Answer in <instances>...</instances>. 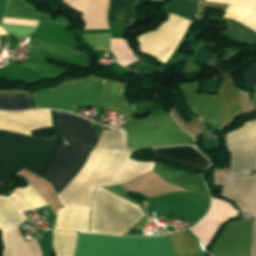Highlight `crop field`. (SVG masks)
Returning <instances> with one entry per match:
<instances>
[{"instance_id": "8a807250", "label": "crop field", "mask_w": 256, "mask_h": 256, "mask_svg": "<svg viewBox=\"0 0 256 256\" xmlns=\"http://www.w3.org/2000/svg\"><path fill=\"white\" fill-rule=\"evenodd\" d=\"M122 130L104 131L81 172L58 196L63 207L90 205L94 187L121 184L152 170L153 163L128 161Z\"/></svg>"}, {"instance_id": "ac0d7876", "label": "crop field", "mask_w": 256, "mask_h": 256, "mask_svg": "<svg viewBox=\"0 0 256 256\" xmlns=\"http://www.w3.org/2000/svg\"><path fill=\"white\" fill-rule=\"evenodd\" d=\"M55 138H39L0 130V184L21 170L43 179L62 145L57 111L51 110Z\"/></svg>"}, {"instance_id": "34b2d1b8", "label": "crop field", "mask_w": 256, "mask_h": 256, "mask_svg": "<svg viewBox=\"0 0 256 256\" xmlns=\"http://www.w3.org/2000/svg\"><path fill=\"white\" fill-rule=\"evenodd\" d=\"M65 144L60 148L44 180L50 182L57 195L77 175L87 160L90 147L98 138L88 120L58 112Z\"/></svg>"}, {"instance_id": "412701ff", "label": "crop field", "mask_w": 256, "mask_h": 256, "mask_svg": "<svg viewBox=\"0 0 256 256\" xmlns=\"http://www.w3.org/2000/svg\"><path fill=\"white\" fill-rule=\"evenodd\" d=\"M131 256H175L166 236L119 237ZM118 237L79 234L75 256H130Z\"/></svg>"}, {"instance_id": "f4fd0767", "label": "crop field", "mask_w": 256, "mask_h": 256, "mask_svg": "<svg viewBox=\"0 0 256 256\" xmlns=\"http://www.w3.org/2000/svg\"><path fill=\"white\" fill-rule=\"evenodd\" d=\"M144 216L139 206L103 188H96L90 233L123 235Z\"/></svg>"}, {"instance_id": "dd49c442", "label": "crop field", "mask_w": 256, "mask_h": 256, "mask_svg": "<svg viewBox=\"0 0 256 256\" xmlns=\"http://www.w3.org/2000/svg\"><path fill=\"white\" fill-rule=\"evenodd\" d=\"M106 79L91 75L32 93L35 108H55L73 112L76 105L102 106Z\"/></svg>"}, {"instance_id": "e52e79f7", "label": "crop field", "mask_w": 256, "mask_h": 256, "mask_svg": "<svg viewBox=\"0 0 256 256\" xmlns=\"http://www.w3.org/2000/svg\"><path fill=\"white\" fill-rule=\"evenodd\" d=\"M131 149L190 144L193 139L180 129L170 113L156 112L147 119L128 121L122 125ZM121 128V129H122Z\"/></svg>"}, {"instance_id": "d8731c3e", "label": "crop field", "mask_w": 256, "mask_h": 256, "mask_svg": "<svg viewBox=\"0 0 256 256\" xmlns=\"http://www.w3.org/2000/svg\"><path fill=\"white\" fill-rule=\"evenodd\" d=\"M226 143L232 155L230 176L251 175L256 147V120L230 132Z\"/></svg>"}, {"instance_id": "5a996713", "label": "crop field", "mask_w": 256, "mask_h": 256, "mask_svg": "<svg viewBox=\"0 0 256 256\" xmlns=\"http://www.w3.org/2000/svg\"><path fill=\"white\" fill-rule=\"evenodd\" d=\"M189 23V21L168 17L156 30L137 37L139 51L161 62Z\"/></svg>"}, {"instance_id": "3316defc", "label": "crop field", "mask_w": 256, "mask_h": 256, "mask_svg": "<svg viewBox=\"0 0 256 256\" xmlns=\"http://www.w3.org/2000/svg\"><path fill=\"white\" fill-rule=\"evenodd\" d=\"M252 218L230 222L211 256H249Z\"/></svg>"}, {"instance_id": "28ad6ade", "label": "crop field", "mask_w": 256, "mask_h": 256, "mask_svg": "<svg viewBox=\"0 0 256 256\" xmlns=\"http://www.w3.org/2000/svg\"><path fill=\"white\" fill-rule=\"evenodd\" d=\"M215 184H222L223 196L235 200L242 211L256 217V177L229 178L215 172Z\"/></svg>"}, {"instance_id": "d1516ede", "label": "crop field", "mask_w": 256, "mask_h": 256, "mask_svg": "<svg viewBox=\"0 0 256 256\" xmlns=\"http://www.w3.org/2000/svg\"><path fill=\"white\" fill-rule=\"evenodd\" d=\"M51 126L50 110L1 112L0 129L29 134L28 131Z\"/></svg>"}, {"instance_id": "22f410ed", "label": "crop field", "mask_w": 256, "mask_h": 256, "mask_svg": "<svg viewBox=\"0 0 256 256\" xmlns=\"http://www.w3.org/2000/svg\"><path fill=\"white\" fill-rule=\"evenodd\" d=\"M190 109L207 123L219 124L216 96L198 93V83L179 85Z\"/></svg>"}, {"instance_id": "cbeb9de0", "label": "crop field", "mask_w": 256, "mask_h": 256, "mask_svg": "<svg viewBox=\"0 0 256 256\" xmlns=\"http://www.w3.org/2000/svg\"><path fill=\"white\" fill-rule=\"evenodd\" d=\"M73 10L84 13L82 19L85 29H108V0H64Z\"/></svg>"}, {"instance_id": "5142ce71", "label": "crop field", "mask_w": 256, "mask_h": 256, "mask_svg": "<svg viewBox=\"0 0 256 256\" xmlns=\"http://www.w3.org/2000/svg\"><path fill=\"white\" fill-rule=\"evenodd\" d=\"M220 127L226 126L234 116L241 113L240 90L233 81L224 80L217 96Z\"/></svg>"}, {"instance_id": "d9b57169", "label": "crop field", "mask_w": 256, "mask_h": 256, "mask_svg": "<svg viewBox=\"0 0 256 256\" xmlns=\"http://www.w3.org/2000/svg\"><path fill=\"white\" fill-rule=\"evenodd\" d=\"M90 206L61 208L56 230L88 232Z\"/></svg>"}, {"instance_id": "733c2abd", "label": "crop field", "mask_w": 256, "mask_h": 256, "mask_svg": "<svg viewBox=\"0 0 256 256\" xmlns=\"http://www.w3.org/2000/svg\"><path fill=\"white\" fill-rule=\"evenodd\" d=\"M27 210L30 208L15 191L9 197L0 196V227L25 222L27 219L22 212Z\"/></svg>"}, {"instance_id": "4a817a6b", "label": "crop field", "mask_w": 256, "mask_h": 256, "mask_svg": "<svg viewBox=\"0 0 256 256\" xmlns=\"http://www.w3.org/2000/svg\"><path fill=\"white\" fill-rule=\"evenodd\" d=\"M155 154L179 163L190 164L203 170L208 164V160L196 149L189 146H178L154 149Z\"/></svg>"}, {"instance_id": "bc2a9ffb", "label": "crop field", "mask_w": 256, "mask_h": 256, "mask_svg": "<svg viewBox=\"0 0 256 256\" xmlns=\"http://www.w3.org/2000/svg\"><path fill=\"white\" fill-rule=\"evenodd\" d=\"M165 0H110L109 23L127 24L131 27L137 22L135 6L144 2H163Z\"/></svg>"}, {"instance_id": "214f88e0", "label": "crop field", "mask_w": 256, "mask_h": 256, "mask_svg": "<svg viewBox=\"0 0 256 256\" xmlns=\"http://www.w3.org/2000/svg\"><path fill=\"white\" fill-rule=\"evenodd\" d=\"M176 256H193L201 254L197 242L184 231L166 235Z\"/></svg>"}, {"instance_id": "92a150f3", "label": "crop field", "mask_w": 256, "mask_h": 256, "mask_svg": "<svg viewBox=\"0 0 256 256\" xmlns=\"http://www.w3.org/2000/svg\"><path fill=\"white\" fill-rule=\"evenodd\" d=\"M229 4L223 17L239 21L256 7V0H206Z\"/></svg>"}, {"instance_id": "dafd665d", "label": "crop field", "mask_w": 256, "mask_h": 256, "mask_svg": "<svg viewBox=\"0 0 256 256\" xmlns=\"http://www.w3.org/2000/svg\"><path fill=\"white\" fill-rule=\"evenodd\" d=\"M77 237V233L54 231L53 248L56 256H74Z\"/></svg>"}, {"instance_id": "00972430", "label": "crop field", "mask_w": 256, "mask_h": 256, "mask_svg": "<svg viewBox=\"0 0 256 256\" xmlns=\"http://www.w3.org/2000/svg\"><path fill=\"white\" fill-rule=\"evenodd\" d=\"M122 85L107 83L103 109L117 110V114L129 113L122 98Z\"/></svg>"}, {"instance_id": "a9b5d70f", "label": "crop field", "mask_w": 256, "mask_h": 256, "mask_svg": "<svg viewBox=\"0 0 256 256\" xmlns=\"http://www.w3.org/2000/svg\"><path fill=\"white\" fill-rule=\"evenodd\" d=\"M33 108L30 95L0 94V109L22 110Z\"/></svg>"}, {"instance_id": "4177f3b9", "label": "crop field", "mask_w": 256, "mask_h": 256, "mask_svg": "<svg viewBox=\"0 0 256 256\" xmlns=\"http://www.w3.org/2000/svg\"><path fill=\"white\" fill-rule=\"evenodd\" d=\"M15 190L32 209L47 205L45 200L29 184L23 188H15Z\"/></svg>"}, {"instance_id": "730fd06b", "label": "crop field", "mask_w": 256, "mask_h": 256, "mask_svg": "<svg viewBox=\"0 0 256 256\" xmlns=\"http://www.w3.org/2000/svg\"><path fill=\"white\" fill-rule=\"evenodd\" d=\"M88 42L96 49H110V34L84 35Z\"/></svg>"}, {"instance_id": "eef30255", "label": "crop field", "mask_w": 256, "mask_h": 256, "mask_svg": "<svg viewBox=\"0 0 256 256\" xmlns=\"http://www.w3.org/2000/svg\"><path fill=\"white\" fill-rule=\"evenodd\" d=\"M250 256H256V219L255 218H253V224H252V238H251Z\"/></svg>"}, {"instance_id": "ae1a2a85", "label": "crop field", "mask_w": 256, "mask_h": 256, "mask_svg": "<svg viewBox=\"0 0 256 256\" xmlns=\"http://www.w3.org/2000/svg\"><path fill=\"white\" fill-rule=\"evenodd\" d=\"M244 78L252 83L254 86H256V65H253L249 68Z\"/></svg>"}, {"instance_id": "d3111659", "label": "crop field", "mask_w": 256, "mask_h": 256, "mask_svg": "<svg viewBox=\"0 0 256 256\" xmlns=\"http://www.w3.org/2000/svg\"><path fill=\"white\" fill-rule=\"evenodd\" d=\"M0 35H7L5 30H3L1 27H0Z\"/></svg>"}, {"instance_id": "750c4746", "label": "crop field", "mask_w": 256, "mask_h": 256, "mask_svg": "<svg viewBox=\"0 0 256 256\" xmlns=\"http://www.w3.org/2000/svg\"><path fill=\"white\" fill-rule=\"evenodd\" d=\"M254 110H256V94H255V98H254Z\"/></svg>"}, {"instance_id": "bd1437ed", "label": "crop field", "mask_w": 256, "mask_h": 256, "mask_svg": "<svg viewBox=\"0 0 256 256\" xmlns=\"http://www.w3.org/2000/svg\"><path fill=\"white\" fill-rule=\"evenodd\" d=\"M253 169H256V154H255V160H254V166Z\"/></svg>"}, {"instance_id": "1d83c4d3", "label": "crop field", "mask_w": 256, "mask_h": 256, "mask_svg": "<svg viewBox=\"0 0 256 256\" xmlns=\"http://www.w3.org/2000/svg\"><path fill=\"white\" fill-rule=\"evenodd\" d=\"M197 1H204V0H197Z\"/></svg>"}]
</instances>
